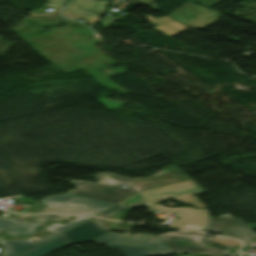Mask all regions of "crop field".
I'll return each instance as SVG.
<instances>
[{"label":"crop field","mask_w":256,"mask_h":256,"mask_svg":"<svg viewBox=\"0 0 256 256\" xmlns=\"http://www.w3.org/2000/svg\"><path fill=\"white\" fill-rule=\"evenodd\" d=\"M96 177L100 183L72 181L77 188L67 192L114 203L136 193L132 188L130 178L112 173H100ZM121 186H126V188H121Z\"/></svg>","instance_id":"8a807250"},{"label":"crop field","mask_w":256,"mask_h":256,"mask_svg":"<svg viewBox=\"0 0 256 256\" xmlns=\"http://www.w3.org/2000/svg\"><path fill=\"white\" fill-rule=\"evenodd\" d=\"M42 203L47 204L45 212H63L77 214L84 210L102 212L113 204H107L87 198L63 194L47 197Z\"/></svg>","instance_id":"ac0d7876"},{"label":"crop field","mask_w":256,"mask_h":256,"mask_svg":"<svg viewBox=\"0 0 256 256\" xmlns=\"http://www.w3.org/2000/svg\"><path fill=\"white\" fill-rule=\"evenodd\" d=\"M203 191L196 183L192 180L177 183L161 188H156L144 192H140V194L151 204L155 201L167 199V198H175L179 201L185 203H192L196 207L204 208L190 193H197Z\"/></svg>","instance_id":"34b2d1b8"},{"label":"crop field","mask_w":256,"mask_h":256,"mask_svg":"<svg viewBox=\"0 0 256 256\" xmlns=\"http://www.w3.org/2000/svg\"><path fill=\"white\" fill-rule=\"evenodd\" d=\"M206 235L200 233L175 232L159 235L174 252L222 254V250L207 246L201 241Z\"/></svg>","instance_id":"412701ff"},{"label":"crop field","mask_w":256,"mask_h":256,"mask_svg":"<svg viewBox=\"0 0 256 256\" xmlns=\"http://www.w3.org/2000/svg\"><path fill=\"white\" fill-rule=\"evenodd\" d=\"M90 241L117 245L170 249L158 237L152 234H136L135 236H131L126 234H117L109 232L97 239Z\"/></svg>","instance_id":"f4fd0767"},{"label":"crop field","mask_w":256,"mask_h":256,"mask_svg":"<svg viewBox=\"0 0 256 256\" xmlns=\"http://www.w3.org/2000/svg\"><path fill=\"white\" fill-rule=\"evenodd\" d=\"M210 230L232 237H243L245 246L256 243V232L239 218L211 219Z\"/></svg>","instance_id":"dd49c442"},{"label":"crop field","mask_w":256,"mask_h":256,"mask_svg":"<svg viewBox=\"0 0 256 256\" xmlns=\"http://www.w3.org/2000/svg\"><path fill=\"white\" fill-rule=\"evenodd\" d=\"M91 217H83V216H80L78 217L77 219H75L74 221L68 223V224H65L55 230H53L52 232H54V234L36 242V243H32L31 240H27V241H2L3 243V246H4V250H5V256H15L29 248H32L88 219H90Z\"/></svg>","instance_id":"e52e79f7"},{"label":"crop field","mask_w":256,"mask_h":256,"mask_svg":"<svg viewBox=\"0 0 256 256\" xmlns=\"http://www.w3.org/2000/svg\"><path fill=\"white\" fill-rule=\"evenodd\" d=\"M107 1L108 0H75L72 4L66 7V10H69L70 13L76 16V18L87 19L85 23L91 25L94 21H96L99 18V15L91 13L83 8L102 14L106 11L104 7Z\"/></svg>","instance_id":"d8731c3e"},{"label":"crop field","mask_w":256,"mask_h":256,"mask_svg":"<svg viewBox=\"0 0 256 256\" xmlns=\"http://www.w3.org/2000/svg\"><path fill=\"white\" fill-rule=\"evenodd\" d=\"M110 229L102 228L98 222H85L65 233L63 235L72 243H81L96 238Z\"/></svg>","instance_id":"5a996713"},{"label":"crop field","mask_w":256,"mask_h":256,"mask_svg":"<svg viewBox=\"0 0 256 256\" xmlns=\"http://www.w3.org/2000/svg\"><path fill=\"white\" fill-rule=\"evenodd\" d=\"M188 11L191 12L192 14L196 15V17L192 20H188V19L182 17V15L184 14L183 13L182 15L178 16L175 19L192 27V28H202V27L210 24L211 22L221 18V15L219 13L210 11L209 9L204 8L202 6H198V5L193 6ZM188 11H186V12H188Z\"/></svg>","instance_id":"3316defc"},{"label":"crop field","mask_w":256,"mask_h":256,"mask_svg":"<svg viewBox=\"0 0 256 256\" xmlns=\"http://www.w3.org/2000/svg\"><path fill=\"white\" fill-rule=\"evenodd\" d=\"M70 244L60 234L57 237L19 255V256H44L53 252L61 247L69 246Z\"/></svg>","instance_id":"28ad6ade"},{"label":"crop field","mask_w":256,"mask_h":256,"mask_svg":"<svg viewBox=\"0 0 256 256\" xmlns=\"http://www.w3.org/2000/svg\"><path fill=\"white\" fill-rule=\"evenodd\" d=\"M38 225L40 224L17 223L12 219L0 218V230H5L12 236L34 234Z\"/></svg>","instance_id":"d1516ede"},{"label":"crop field","mask_w":256,"mask_h":256,"mask_svg":"<svg viewBox=\"0 0 256 256\" xmlns=\"http://www.w3.org/2000/svg\"><path fill=\"white\" fill-rule=\"evenodd\" d=\"M108 248H116L122 252L125 256H150L154 254H172V250H157V249H147V248H137V247H127V246H117L105 244Z\"/></svg>","instance_id":"22f410ed"},{"label":"crop field","mask_w":256,"mask_h":256,"mask_svg":"<svg viewBox=\"0 0 256 256\" xmlns=\"http://www.w3.org/2000/svg\"><path fill=\"white\" fill-rule=\"evenodd\" d=\"M66 3H46L43 6L48 8H56V13H42V14H31V16H38V17H49V20H52L53 17H61L59 14V10L65 5ZM47 21V20H41Z\"/></svg>","instance_id":"cbeb9de0"},{"label":"crop field","mask_w":256,"mask_h":256,"mask_svg":"<svg viewBox=\"0 0 256 256\" xmlns=\"http://www.w3.org/2000/svg\"><path fill=\"white\" fill-rule=\"evenodd\" d=\"M120 204L126 206H137L147 203L136 193L131 197L127 198L126 200H124L123 202H121Z\"/></svg>","instance_id":"5142ce71"},{"label":"crop field","mask_w":256,"mask_h":256,"mask_svg":"<svg viewBox=\"0 0 256 256\" xmlns=\"http://www.w3.org/2000/svg\"><path fill=\"white\" fill-rule=\"evenodd\" d=\"M166 171L171 174L175 179L178 181L188 179L189 177L186 176L180 169L176 166L167 168Z\"/></svg>","instance_id":"d9b57169"},{"label":"crop field","mask_w":256,"mask_h":256,"mask_svg":"<svg viewBox=\"0 0 256 256\" xmlns=\"http://www.w3.org/2000/svg\"><path fill=\"white\" fill-rule=\"evenodd\" d=\"M116 205H117V204H116ZM125 208H126V206L117 205V206H115V207H113V208H111V209H109V210L103 212L102 214H104V215H106V216H112V215H114V214L120 212L121 210H123V209H125Z\"/></svg>","instance_id":"733c2abd"},{"label":"crop field","mask_w":256,"mask_h":256,"mask_svg":"<svg viewBox=\"0 0 256 256\" xmlns=\"http://www.w3.org/2000/svg\"><path fill=\"white\" fill-rule=\"evenodd\" d=\"M193 4H195V3L189 1V2H187V3H185V4H183V6H182L181 8H179V9H177V10L171 12V13H170L169 15H167V16L173 18L174 16H176V15L179 14L180 12L184 11V10L187 9L188 7L192 6Z\"/></svg>","instance_id":"4a817a6b"},{"label":"crop field","mask_w":256,"mask_h":256,"mask_svg":"<svg viewBox=\"0 0 256 256\" xmlns=\"http://www.w3.org/2000/svg\"><path fill=\"white\" fill-rule=\"evenodd\" d=\"M104 19V26L102 27V29H104V28H106L107 26H109L111 23H113L115 20H117V18H114V17H111V16H107V17H105V18H103ZM100 20V19H99ZM100 21H102V20H100Z\"/></svg>","instance_id":"bc2a9ffb"},{"label":"crop field","mask_w":256,"mask_h":256,"mask_svg":"<svg viewBox=\"0 0 256 256\" xmlns=\"http://www.w3.org/2000/svg\"><path fill=\"white\" fill-rule=\"evenodd\" d=\"M40 221L46 222L44 217H49V218H53V219H59V218H65V217H61V216H55V215H37Z\"/></svg>","instance_id":"214f88e0"},{"label":"crop field","mask_w":256,"mask_h":256,"mask_svg":"<svg viewBox=\"0 0 256 256\" xmlns=\"http://www.w3.org/2000/svg\"><path fill=\"white\" fill-rule=\"evenodd\" d=\"M63 15H64V17H69V18H72V19L75 18V16L71 15V14L69 13V11H66V10H63Z\"/></svg>","instance_id":"92a150f3"},{"label":"crop field","mask_w":256,"mask_h":256,"mask_svg":"<svg viewBox=\"0 0 256 256\" xmlns=\"http://www.w3.org/2000/svg\"><path fill=\"white\" fill-rule=\"evenodd\" d=\"M80 214H82V215H96L98 213H95V212H92V211H84V212H82Z\"/></svg>","instance_id":"dafd665d"},{"label":"crop field","mask_w":256,"mask_h":256,"mask_svg":"<svg viewBox=\"0 0 256 256\" xmlns=\"http://www.w3.org/2000/svg\"><path fill=\"white\" fill-rule=\"evenodd\" d=\"M60 226V224H54V225H52V226H50V227H48V228H46L47 230H49V231H51V230H53V229H55V228H57V227H59Z\"/></svg>","instance_id":"00972430"},{"label":"crop field","mask_w":256,"mask_h":256,"mask_svg":"<svg viewBox=\"0 0 256 256\" xmlns=\"http://www.w3.org/2000/svg\"><path fill=\"white\" fill-rule=\"evenodd\" d=\"M48 2H66L67 0H47Z\"/></svg>","instance_id":"a9b5d70f"},{"label":"crop field","mask_w":256,"mask_h":256,"mask_svg":"<svg viewBox=\"0 0 256 256\" xmlns=\"http://www.w3.org/2000/svg\"><path fill=\"white\" fill-rule=\"evenodd\" d=\"M56 215H62V214H56ZM62 216H68V215H62Z\"/></svg>","instance_id":"4177f3b9"},{"label":"crop field","mask_w":256,"mask_h":256,"mask_svg":"<svg viewBox=\"0 0 256 256\" xmlns=\"http://www.w3.org/2000/svg\"><path fill=\"white\" fill-rule=\"evenodd\" d=\"M0 256H3V254H0Z\"/></svg>","instance_id":"730fd06b"},{"label":"crop field","mask_w":256,"mask_h":256,"mask_svg":"<svg viewBox=\"0 0 256 256\" xmlns=\"http://www.w3.org/2000/svg\"><path fill=\"white\" fill-rule=\"evenodd\" d=\"M0 243H1V241H0Z\"/></svg>","instance_id":"eef30255"}]
</instances>
